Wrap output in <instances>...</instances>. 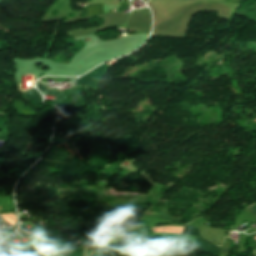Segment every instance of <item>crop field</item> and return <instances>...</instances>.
Returning <instances> with one entry per match:
<instances>
[{
  "mask_svg": "<svg viewBox=\"0 0 256 256\" xmlns=\"http://www.w3.org/2000/svg\"><path fill=\"white\" fill-rule=\"evenodd\" d=\"M182 234V233H181ZM183 234H188V235H194V236H201L199 229L197 228H190L186 227ZM197 237L194 246H196L198 249L204 252H210L213 253L214 256H218L220 247H216L209 241H206L204 238Z\"/></svg>",
  "mask_w": 256,
  "mask_h": 256,
  "instance_id": "1",
  "label": "crop field"
},
{
  "mask_svg": "<svg viewBox=\"0 0 256 256\" xmlns=\"http://www.w3.org/2000/svg\"><path fill=\"white\" fill-rule=\"evenodd\" d=\"M107 67L108 66L103 64L102 66L93 70L89 74L81 77L79 80H77V82L79 83V85H84V86H88V87L97 89L98 83H99L100 79L102 78V76L104 75Z\"/></svg>",
  "mask_w": 256,
  "mask_h": 256,
  "instance_id": "2",
  "label": "crop field"
},
{
  "mask_svg": "<svg viewBox=\"0 0 256 256\" xmlns=\"http://www.w3.org/2000/svg\"><path fill=\"white\" fill-rule=\"evenodd\" d=\"M36 87L40 90L42 95L53 96L52 101L54 102L55 106H57V104L66 97L63 92L48 89L46 85L40 84L39 82H37Z\"/></svg>",
  "mask_w": 256,
  "mask_h": 256,
  "instance_id": "3",
  "label": "crop field"
},
{
  "mask_svg": "<svg viewBox=\"0 0 256 256\" xmlns=\"http://www.w3.org/2000/svg\"><path fill=\"white\" fill-rule=\"evenodd\" d=\"M25 97L30 101L31 99H34V103H42V98L40 96V94L38 93V91L36 89H32L31 91L28 92H22Z\"/></svg>",
  "mask_w": 256,
  "mask_h": 256,
  "instance_id": "4",
  "label": "crop field"
},
{
  "mask_svg": "<svg viewBox=\"0 0 256 256\" xmlns=\"http://www.w3.org/2000/svg\"><path fill=\"white\" fill-rule=\"evenodd\" d=\"M254 204L249 205L248 209L252 207ZM251 213L256 217V205L249 209Z\"/></svg>",
  "mask_w": 256,
  "mask_h": 256,
  "instance_id": "5",
  "label": "crop field"
}]
</instances>
